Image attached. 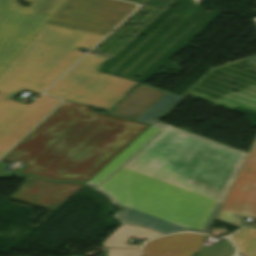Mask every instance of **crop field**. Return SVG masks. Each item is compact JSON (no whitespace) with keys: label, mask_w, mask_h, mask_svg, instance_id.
I'll list each match as a JSON object with an SVG mask.
<instances>
[{"label":"crop field","mask_w":256,"mask_h":256,"mask_svg":"<svg viewBox=\"0 0 256 256\" xmlns=\"http://www.w3.org/2000/svg\"><path fill=\"white\" fill-rule=\"evenodd\" d=\"M179 99L167 93L137 118L152 125L87 185L124 206L115 213L124 224L208 234L222 202L183 184L164 157L148 151L173 128L155 120Z\"/></svg>","instance_id":"8a807250"},{"label":"crop field","mask_w":256,"mask_h":256,"mask_svg":"<svg viewBox=\"0 0 256 256\" xmlns=\"http://www.w3.org/2000/svg\"><path fill=\"white\" fill-rule=\"evenodd\" d=\"M147 126L64 101L1 161H23L19 173L86 182Z\"/></svg>","instance_id":"ac0d7876"},{"label":"crop field","mask_w":256,"mask_h":256,"mask_svg":"<svg viewBox=\"0 0 256 256\" xmlns=\"http://www.w3.org/2000/svg\"><path fill=\"white\" fill-rule=\"evenodd\" d=\"M102 37L45 24L0 74V156L61 102L44 95L29 105L12 100L23 88L41 93L84 55L80 48Z\"/></svg>","instance_id":"34b2d1b8"},{"label":"crop field","mask_w":256,"mask_h":256,"mask_svg":"<svg viewBox=\"0 0 256 256\" xmlns=\"http://www.w3.org/2000/svg\"><path fill=\"white\" fill-rule=\"evenodd\" d=\"M150 151L185 184L224 201L246 154L173 128Z\"/></svg>","instance_id":"412701ff"},{"label":"crop field","mask_w":256,"mask_h":256,"mask_svg":"<svg viewBox=\"0 0 256 256\" xmlns=\"http://www.w3.org/2000/svg\"><path fill=\"white\" fill-rule=\"evenodd\" d=\"M108 59L88 54L46 94L108 111L139 82L96 71Z\"/></svg>","instance_id":"f4fd0767"},{"label":"crop field","mask_w":256,"mask_h":256,"mask_svg":"<svg viewBox=\"0 0 256 256\" xmlns=\"http://www.w3.org/2000/svg\"><path fill=\"white\" fill-rule=\"evenodd\" d=\"M0 0V73L48 21L65 0Z\"/></svg>","instance_id":"dd49c442"},{"label":"crop field","mask_w":256,"mask_h":256,"mask_svg":"<svg viewBox=\"0 0 256 256\" xmlns=\"http://www.w3.org/2000/svg\"><path fill=\"white\" fill-rule=\"evenodd\" d=\"M135 8L116 0H66L47 23L105 35Z\"/></svg>","instance_id":"e52e79f7"},{"label":"crop field","mask_w":256,"mask_h":256,"mask_svg":"<svg viewBox=\"0 0 256 256\" xmlns=\"http://www.w3.org/2000/svg\"><path fill=\"white\" fill-rule=\"evenodd\" d=\"M233 214L256 219V137L216 219L240 228Z\"/></svg>","instance_id":"d8731c3e"},{"label":"crop field","mask_w":256,"mask_h":256,"mask_svg":"<svg viewBox=\"0 0 256 256\" xmlns=\"http://www.w3.org/2000/svg\"><path fill=\"white\" fill-rule=\"evenodd\" d=\"M28 180L10 198L56 210L84 185L80 182H55L33 175H21Z\"/></svg>","instance_id":"5a996713"},{"label":"crop field","mask_w":256,"mask_h":256,"mask_svg":"<svg viewBox=\"0 0 256 256\" xmlns=\"http://www.w3.org/2000/svg\"><path fill=\"white\" fill-rule=\"evenodd\" d=\"M204 238L203 235L182 233L153 239L143 247V256H190L200 248Z\"/></svg>","instance_id":"3316defc"},{"label":"crop field","mask_w":256,"mask_h":256,"mask_svg":"<svg viewBox=\"0 0 256 256\" xmlns=\"http://www.w3.org/2000/svg\"><path fill=\"white\" fill-rule=\"evenodd\" d=\"M166 93L140 83L107 113L135 120Z\"/></svg>","instance_id":"28ad6ade"},{"label":"crop field","mask_w":256,"mask_h":256,"mask_svg":"<svg viewBox=\"0 0 256 256\" xmlns=\"http://www.w3.org/2000/svg\"><path fill=\"white\" fill-rule=\"evenodd\" d=\"M159 234L142 229L140 227L120 226L109 237L103 241L106 247H129L140 248L141 245H125L131 237L147 239ZM153 238V237H152Z\"/></svg>","instance_id":"d1516ede"},{"label":"crop field","mask_w":256,"mask_h":256,"mask_svg":"<svg viewBox=\"0 0 256 256\" xmlns=\"http://www.w3.org/2000/svg\"><path fill=\"white\" fill-rule=\"evenodd\" d=\"M231 238L239 248V253L246 256H256V228L249 226Z\"/></svg>","instance_id":"22f410ed"},{"label":"crop field","mask_w":256,"mask_h":256,"mask_svg":"<svg viewBox=\"0 0 256 256\" xmlns=\"http://www.w3.org/2000/svg\"><path fill=\"white\" fill-rule=\"evenodd\" d=\"M234 252L233 245L227 239L211 248L199 250L197 256H232Z\"/></svg>","instance_id":"cbeb9de0"},{"label":"crop field","mask_w":256,"mask_h":256,"mask_svg":"<svg viewBox=\"0 0 256 256\" xmlns=\"http://www.w3.org/2000/svg\"><path fill=\"white\" fill-rule=\"evenodd\" d=\"M107 256H139V250L108 249Z\"/></svg>","instance_id":"5142ce71"},{"label":"crop field","mask_w":256,"mask_h":256,"mask_svg":"<svg viewBox=\"0 0 256 256\" xmlns=\"http://www.w3.org/2000/svg\"><path fill=\"white\" fill-rule=\"evenodd\" d=\"M248 61H250L252 64H254L256 66V57L248 59Z\"/></svg>","instance_id":"d9b57169"},{"label":"crop field","mask_w":256,"mask_h":256,"mask_svg":"<svg viewBox=\"0 0 256 256\" xmlns=\"http://www.w3.org/2000/svg\"><path fill=\"white\" fill-rule=\"evenodd\" d=\"M126 1H131V2H136V3H142L144 0H126Z\"/></svg>","instance_id":"733c2abd"},{"label":"crop field","mask_w":256,"mask_h":256,"mask_svg":"<svg viewBox=\"0 0 256 256\" xmlns=\"http://www.w3.org/2000/svg\"><path fill=\"white\" fill-rule=\"evenodd\" d=\"M193 1L197 5L201 0H193Z\"/></svg>","instance_id":"4a817a6b"},{"label":"crop field","mask_w":256,"mask_h":256,"mask_svg":"<svg viewBox=\"0 0 256 256\" xmlns=\"http://www.w3.org/2000/svg\"><path fill=\"white\" fill-rule=\"evenodd\" d=\"M256 20V18H254Z\"/></svg>","instance_id":"bc2a9ffb"}]
</instances>
